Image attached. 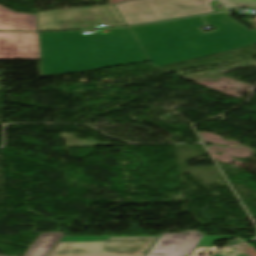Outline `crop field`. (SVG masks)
<instances>
[{
  "label": "crop field",
  "mask_w": 256,
  "mask_h": 256,
  "mask_svg": "<svg viewBox=\"0 0 256 256\" xmlns=\"http://www.w3.org/2000/svg\"><path fill=\"white\" fill-rule=\"evenodd\" d=\"M203 18L216 31L204 33L199 30L205 25L201 17L130 30L155 67L256 44V31L247 30L225 13Z\"/></svg>",
  "instance_id": "8a807250"
},
{
  "label": "crop field",
  "mask_w": 256,
  "mask_h": 256,
  "mask_svg": "<svg viewBox=\"0 0 256 256\" xmlns=\"http://www.w3.org/2000/svg\"><path fill=\"white\" fill-rule=\"evenodd\" d=\"M43 76L150 61L129 30L39 33Z\"/></svg>",
  "instance_id": "ac0d7876"
},
{
  "label": "crop field",
  "mask_w": 256,
  "mask_h": 256,
  "mask_svg": "<svg viewBox=\"0 0 256 256\" xmlns=\"http://www.w3.org/2000/svg\"><path fill=\"white\" fill-rule=\"evenodd\" d=\"M157 236L63 237L49 256H143Z\"/></svg>",
  "instance_id": "34b2d1b8"
},
{
  "label": "crop field",
  "mask_w": 256,
  "mask_h": 256,
  "mask_svg": "<svg viewBox=\"0 0 256 256\" xmlns=\"http://www.w3.org/2000/svg\"><path fill=\"white\" fill-rule=\"evenodd\" d=\"M215 0H137L115 7L127 25L214 12Z\"/></svg>",
  "instance_id": "412701ff"
},
{
  "label": "crop field",
  "mask_w": 256,
  "mask_h": 256,
  "mask_svg": "<svg viewBox=\"0 0 256 256\" xmlns=\"http://www.w3.org/2000/svg\"><path fill=\"white\" fill-rule=\"evenodd\" d=\"M38 31L90 28L105 24L107 27L125 26L114 7H93L37 13Z\"/></svg>",
  "instance_id": "f4fd0767"
},
{
  "label": "crop field",
  "mask_w": 256,
  "mask_h": 256,
  "mask_svg": "<svg viewBox=\"0 0 256 256\" xmlns=\"http://www.w3.org/2000/svg\"><path fill=\"white\" fill-rule=\"evenodd\" d=\"M229 238L234 237L208 236L199 231L163 233L147 256H187L200 245L213 246L216 240Z\"/></svg>",
  "instance_id": "dd49c442"
},
{
  "label": "crop field",
  "mask_w": 256,
  "mask_h": 256,
  "mask_svg": "<svg viewBox=\"0 0 256 256\" xmlns=\"http://www.w3.org/2000/svg\"><path fill=\"white\" fill-rule=\"evenodd\" d=\"M0 59H40L38 33L0 32Z\"/></svg>",
  "instance_id": "e52e79f7"
},
{
  "label": "crop field",
  "mask_w": 256,
  "mask_h": 256,
  "mask_svg": "<svg viewBox=\"0 0 256 256\" xmlns=\"http://www.w3.org/2000/svg\"><path fill=\"white\" fill-rule=\"evenodd\" d=\"M0 30L37 31L36 15L14 13L0 6Z\"/></svg>",
  "instance_id": "d8731c3e"
},
{
  "label": "crop field",
  "mask_w": 256,
  "mask_h": 256,
  "mask_svg": "<svg viewBox=\"0 0 256 256\" xmlns=\"http://www.w3.org/2000/svg\"><path fill=\"white\" fill-rule=\"evenodd\" d=\"M65 233H41L23 256H48Z\"/></svg>",
  "instance_id": "5a996713"
},
{
  "label": "crop field",
  "mask_w": 256,
  "mask_h": 256,
  "mask_svg": "<svg viewBox=\"0 0 256 256\" xmlns=\"http://www.w3.org/2000/svg\"><path fill=\"white\" fill-rule=\"evenodd\" d=\"M226 7H234V6H244L251 7L256 6V0H221Z\"/></svg>",
  "instance_id": "3316defc"
},
{
  "label": "crop field",
  "mask_w": 256,
  "mask_h": 256,
  "mask_svg": "<svg viewBox=\"0 0 256 256\" xmlns=\"http://www.w3.org/2000/svg\"><path fill=\"white\" fill-rule=\"evenodd\" d=\"M214 256H221V255H219V254L217 253V254H215ZM240 256H243V255H240Z\"/></svg>",
  "instance_id": "28ad6ade"
}]
</instances>
